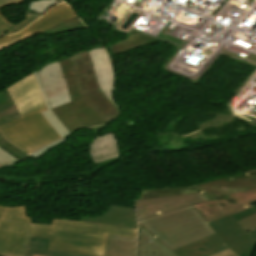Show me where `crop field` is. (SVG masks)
I'll return each instance as SVG.
<instances>
[{
    "mask_svg": "<svg viewBox=\"0 0 256 256\" xmlns=\"http://www.w3.org/2000/svg\"><path fill=\"white\" fill-rule=\"evenodd\" d=\"M8 90L22 116L20 119L0 126V131L8 141L29 155L60 139L40 114L47 109L33 74Z\"/></svg>",
    "mask_w": 256,
    "mask_h": 256,
    "instance_id": "obj_3",
    "label": "crop field"
},
{
    "mask_svg": "<svg viewBox=\"0 0 256 256\" xmlns=\"http://www.w3.org/2000/svg\"><path fill=\"white\" fill-rule=\"evenodd\" d=\"M0 146L20 160L27 157L25 153L21 152L18 148L14 147L5 139H3L1 134H0Z\"/></svg>",
    "mask_w": 256,
    "mask_h": 256,
    "instance_id": "obj_19",
    "label": "crop field"
},
{
    "mask_svg": "<svg viewBox=\"0 0 256 256\" xmlns=\"http://www.w3.org/2000/svg\"><path fill=\"white\" fill-rule=\"evenodd\" d=\"M80 221L137 229L134 208L118 207L114 205H110L102 216H96L95 218L82 217Z\"/></svg>",
    "mask_w": 256,
    "mask_h": 256,
    "instance_id": "obj_8",
    "label": "crop field"
},
{
    "mask_svg": "<svg viewBox=\"0 0 256 256\" xmlns=\"http://www.w3.org/2000/svg\"><path fill=\"white\" fill-rule=\"evenodd\" d=\"M135 240L133 238L108 236L105 256H135Z\"/></svg>",
    "mask_w": 256,
    "mask_h": 256,
    "instance_id": "obj_13",
    "label": "crop field"
},
{
    "mask_svg": "<svg viewBox=\"0 0 256 256\" xmlns=\"http://www.w3.org/2000/svg\"><path fill=\"white\" fill-rule=\"evenodd\" d=\"M17 118H20V115L9 92L6 89L0 93V124Z\"/></svg>",
    "mask_w": 256,
    "mask_h": 256,
    "instance_id": "obj_14",
    "label": "crop field"
},
{
    "mask_svg": "<svg viewBox=\"0 0 256 256\" xmlns=\"http://www.w3.org/2000/svg\"><path fill=\"white\" fill-rule=\"evenodd\" d=\"M40 18L39 16H34V15H28L26 14V19H24L23 21H21L19 24L14 25L11 29H9L7 31L6 34H13V33H17L20 30H22L23 28H25L26 26H28L29 24H31L33 21H35L36 19Z\"/></svg>",
    "mask_w": 256,
    "mask_h": 256,
    "instance_id": "obj_20",
    "label": "crop field"
},
{
    "mask_svg": "<svg viewBox=\"0 0 256 256\" xmlns=\"http://www.w3.org/2000/svg\"><path fill=\"white\" fill-rule=\"evenodd\" d=\"M249 234L252 235V236L256 239V231L251 232V233H249Z\"/></svg>",
    "mask_w": 256,
    "mask_h": 256,
    "instance_id": "obj_24",
    "label": "crop field"
},
{
    "mask_svg": "<svg viewBox=\"0 0 256 256\" xmlns=\"http://www.w3.org/2000/svg\"><path fill=\"white\" fill-rule=\"evenodd\" d=\"M204 201L208 200L199 193L139 200L138 222L174 250L214 234L191 206Z\"/></svg>",
    "mask_w": 256,
    "mask_h": 256,
    "instance_id": "obj_2",
    "label": "crop field"
},
{
    "mask_svg": "<svg viewBox=\"0 0 256 256\" xmlns=\"http://www.w3.org/2000/svg\"><path fill=\"white\" fill-rule=\"evenodd\" d=\"M38 72L44 84L47 98L51 103V108L71 101L58 61L44 66Z\"/></svg>",
    "mask_w": 256,
    "mask_h": 256,
    "instance_id": "obj_7",
    "label": "crop field"
},
{
    "mask_svg": "<svg viewBox=\"0 0 256 256\" xmlns=\"http://www.w3.org/2000/svg\"><path fill=\"white\" fill-rule=\"evenodd\" d=\"M218 237L240 256H252L256 240L248 233L256 229V206L209 223Z\"/></svg>",
    "mask_w": 256,
    "mask_h": 256,
    "instance_id": "obj_5",
    "label": "crop field"
},
{
    "mask_svg": "<svg viewBox=\"0 0 256 256\" xmlns=\"http://www.w3.org/2000/svg\"><path fill=\"white\" fill-rule=\"evenodd\" d=\"M197 192L191 185L188 187H178V188H156V189H142L139 199L187 194ZM136 199V200H139Z\"/></svg>",
    "mask_w": 256,
    "mask_h": 256,
    "instance_id": "obj_15",
    "label": "crop field"
},
{
    "mask_svg": "<svg viewBox=\"0 0 256 256\" xmlns=\"http://www.w3.org/2000/svg\"><path fill=\"white\" fill-rule=\"evenodd\" d=\"M49 239L32 237L28 245L25 256H32L33 253L46 255V256H77L65 253H58L47 251Z\"/></svg>",
    "mask_w": 256,
    "mask_h": 256,
    "instance_id": "obj_17",
    "label": "crop field"
},
{
    "mask_svg": "<svg viewBox=\"0 0 256 256\" xmlns=\"http://www.w3.org/2000/svg\"><path fill=\"white\" fill-rule=\"evenodd\" d=\"M56 3L54 2V0H47V1H35V2H31L29 4V10H33L38 12L39 14L45 13V11L55 5Z\"/></svg>",
    "mask_w": 256,
    "mask_h": 256,
    "instance_id": "obj_18",
    "label": "crop field"
},
{
    "mask_svg": "<svg viewBox=\"0 0 256 256\" xmlns=\"http://www.w3.org/2000/svg\"><path fill=\"white\" fill-rule=\"evenodd\" d=\"M34 256H41V255H36V254H34Z\"/></svg>",
    "mask_w": 256,
    "mask_h": 256,
    "instance_id": "obj_25",
    "label": "crop field"
},
{
    "mask_svg": "<svg viewBox=\"0 0 256 256\" xmlns=\"http://www.w3.org/2000/svg\"><path fill=\"white\" fill-rule=\"evenodd\" d=\"M89 152L93 164L120 158L115 136L111 133L105 136H96Z\"/></svg>",
    "mask_w": 256,
    "mask_h": 256,
    "instance_id": "obj_12",
    "label": "crop field"
},
{
    "mask_svg": "<svg viewBox=\"0 0 256 256\" xmlns=\"http://www.w3.org/2000/svg\"><path fill=\"white\" fill-rule=\"evenodd\" d=\"M71 17H75V14L71 8L65 3L58 4L57 6L49 9L44 16L33 22L22 32L15 35L0 37V50L11 46L18 41H23L29 37H32L37 33L55 26Z\"/></svg>",
    "mask_w": 256,
    "mask_h": 256,
    "instance_id": "obj_6",
    "label": "crop field"
},
{
    "mask_svg": "<svg viewBox=\"0 0 256 256\" xmlns=\"http://www.w3.org/2000/svg\"><path fill=\"white\" fill-rule=\"evenodd\" d=\"M193 186L210 200L193 205L209 223L252 207L249 203L256 201V170Z\"/></svg>",
    "mask_w": 256,
    "mask_h": 256,
    "instance_id": "obj_4",
    "label": "crop field"
},
{
    "mask_svg": "<svg viewBox=\"0 0 256 256\" xmlns=\"http://www.w3.org/2000/svg\"><path fill=\"white\" fill-rule=\"evenodd\" d=\"M100 89L111 101L114 73L104 48L89 51Z\"/></svg>",
    "mask_w": 256,
    "mask_h": 256,
    "instance_id": "obj_9",
    "label": "crop field"
},
{
    "mask_svg": "<svg viewBox=\"0 0 256 256\" xmlns=\"http://www.w3.org/2000/svg\"><path fill=\"white\" fill-rule=\"evenodd\" d=\"M20 2H23V1L22 0H0V8L7 5L17 4Z\"/></svg>",
    "mask_w": 256,
    "mask_h": 256,
    "instance_id": "obj_22",
    "label": "crop field"
},
{
    "mask_svg": "<svg viewBox=\"0 0 256 256\" xmlns=\"http://www.w3.org/2000/svg\"><path fill=\"white\" fill-rule=\"evenodd\" d=\"M107 235L136 238V230L64 220L31 225L25 207L0 206V256H24L31 236L50 238L48 250L104 256Z\"/></svg>",
    "mask_w": 256,
    "mask_h": 256,
    "instance_id": "obj_1",
    "label": "crop field"
},
{
    "mask_svg": "<svg viewBox=\"0 0 256 256\" xmlns=\"http://www.w3.org/2000/svg\"><path fill=\"white\" fill-rule=\"evenodd\" d=\"M2 165H0V167H1Z\"/></svg>",
    "mask_w": 256,
    "mask_h": 256,
    "instance_id": "obj_26",
    "label": "crop field"
},
{
    "mask_svg": "<svg viewBox=\"0 0 256 256\" xmlns=\"http://www.w3.org/2000/svg\"><path fill=\"white\" fill-rule=\"evenodd\" d=\"M228 249L216 234L174 250L178 256H211Z\"/></svg>",
    "mask_w": 256,
    "mask_h": 256,
    "instance_id": "obj_10",
    "label": "crop field"
},
{
    "mask_svg": "<svg viewBox=\"0 0 256 256\" xmlns=\"http://www.w3.org/2000/svg\"><path fill=\"white\" fill-rule=\"evenodd\" d=\"M213 256H237L234 252H232L230 249L223 251L221 253H218L216 255Z\"/></svg>",
    "mask_w": 256,
    "mask_h": 256,
    "instance_id": "obj_23",
    "label": "crop field"
},
{
    "mask_svg": "<svg viewBox=\"0 0 256 256\" xmlns=\"http://www.w3.org/2000/svg\"><path fill=\"white\" fill-rule=\"evenodd\" d=\"M136 256H176L149 231L139 224Z\"/></svg>",
    "mask_w": 256,
    "mask_h": 256,
    "instance_id": "obj_11",
    "label": "crop field"
},
{
    "mask_svg": "<svg viewBox=\"0 0 256 256\" xmlns=\"http://www.w3.org/2000/svg\"><path fill=\"white\" fill-rule=\"evenodd\" d=\"M34 75L37 79V82H38L40 88H41V91H42V94H43V97H44V100H45V103H46V106H47V109H48V111L42 112V115L45 117V119L48 121V123L51 125V127L57 132V134L61 138H63V137H65L66 135H68L70 133L65 128V126L61 123V121L51 111L49 103H48L47 98H46V94H45V91H44L43 84L41 82V79H40L37 72H35Z\"/></svg>",
    "mask_w": 256,
    "mask_h": 256,
    "instance_id": "obj_16",
    "label": "crop field"
},
{
    "mask_svg": "<svg viewBox=\"0 0 256 256\" xmlns=\"http://www.w3.org/2000/svg\"><path fill=\"white\" fill-rule=\"evenodd\" d=\"M13 25L9 23L5 17L0 12V36L4 35L6 31L11 28Z\"/></svg>",
    "mask_w": 256,
    "mask_h": 256,
    "instance_id": "obj_21",
    "label": "crop field"
}]
</instances>
